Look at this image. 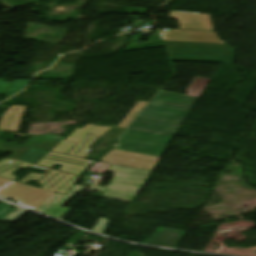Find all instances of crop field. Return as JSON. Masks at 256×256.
Instances as JSON below:
<instances>
[{
  "instance_id": "crop-field-1",
  "label": "crop field",
  "mask_w": 256,
  "mask_h": 256,
  "mask_svg": "<svg viewBox=\"0 0 256 256\" xmlns=\"http://www.w3.org/2000/svg\"><path fill=\"white\" fill-rule=\"evenodd\" d=\"M198 98L160 92L104 161L153 171Z\"/></svg>"
},
{
  "instance_id": "crop-field-2",
  "label": "crop field",
  "mask_w": 256,
  "mask_h": 256,
  "mask_svg": "<svg viewBox=\"0 0 256 256\" xmlns=\"http://www.w3.org/2000/svg\"><path fill=\"white\" fill-rule=\"evenodd\" d=\"M164 43L171 61L225 62L232 64L234 59V50L228 45L170 41H164Z\"/></svg>"
},
{
  "instance_id": "crop-field-3",
  "label": "crop field",
  "mask_w": 256,
  "mask_h": 256,
  "mask_svg": "<svg viewBox=\"0 0 256 256\" xmlns=\"http://www.w3.org/2000/svg\"><path fill=\"white\" fill-rule=\"evenodd\" d=\"M108 172L116 173L107 187H93L105 191L102 198L132 203L141 187L151 174L149 171L137 170L113 165Z\"/></svg>"
},
{
  "instance_id": "crop-field-4",
  "label": "crop field",
  "mask_w": 256,
  "mask_h": 256,
  "mask_svg": "<svg viewBox=\"0 0 256 256\" xmlns=\"http://www.w3.org/2000/svg\"><path fill=\"white\" fill-rule=\"evenodd\" d=\"M31 140H33L31 142ZM22 147L0 142V150L12 153V159L36 163L45 156L62 138L55 135L38 136Z\"/></svg>"
},
{
  "instance_id": "crop-field-5",
  "label": "crop field",
  "mask_w": 256,
  "mask_h": 256,
  "mask_svg": "<svg viewBox=\"0 0 256 256\" xmlns=\"http://www.w3.org/2000/svg\"><path fill=\"white\" fill-rule=\"evenodd\" d=\"M159 31L163 40L223 44L217 38L214 32L182 31V30H175V29H168L167 32L162 30H159Z\"/></svg>"
},
{
  "instance_id": "crop-field-6",
  "label": "crop field",
  "mask_w": 256,
  "mask_h": 256,
  "mask_svg": "<svg viewBox=\"0 0 256 256\" xmlns=\"http://www.w3.org/2000/svg\"><path fill=\"white\" fill-rule=\"evenodd\" d=\"M171 18H176L179 29L213 31L211 17L207 14L171 11Z\"/></svg>"
},
{
  "instance_id": "crop-field-7",
  "label": "crop field",
  "mask_w": 256,
  "mask_h": 256,
  "mask_svg": "<svg viewBox=\"0 0 256 256\" xmlns=\"http://www.w3.org/2000/svg\"><path fill=\"white\" fill-rule=\"evenodd\" d=\"M83 189H85V187L76 185L70 190V192L66 196L55 194L43 205H41L38 209H36V211L58 218L61 215H63L66 211H68V209L65 208H63L64 210H62V207L60 206L67 202L69 199H71L74 195H76V193L82 191Z\"/></svg>"
},
{
  "instance_id": "crop-field-8",
  "label": "crop field",
  "mask_w": 256,
  "mask_h": 256,
  "mask_svg": "<svg viewBox=\"0 0 256 256\" xmlns=\"http://www.w3.org/2000/svg\"><path fill=\"white\" fill-rule=\"evenodd\" d=\"M184 234V231L159 227L146 244L176 248Z\"/></svg>"
},
{
  "instance_id": "crop-field-9",
  "label": "crop field",
  "mask_w": 256,
  "mask_h": 256,
  "mask_svg": "<svg viewBox=\"0 0 256 256\" xmlns=\"http://www.w3.org/2000/svg\"><path fill=\"white\" fill-rule=\"evenodd\" d=\"M26 109V106L11 107L2 115L0 128L17 132Z\"/></svg>"
},
{
  "instance_id": "crop-field-10",
  "label": "crop field",
  "mask_w": 256,
  "mask_h": 256,
  "mask_svg": "<svg viewBox=\"0 0 256 256\" xmlns=\"http://www.w3.org/2000/svg\"><path fill=\"white\" fill-rule=\"evenodd\" d=\"M111 127H99V126H94V125H89L87 124L84 128L80 129L78 128L73 134H71L66 140L73 141L78 143L85 135L87 134H92L96 137H101L104 133H106Z\"/></svg>"
},
{
  "instance_id": "crop-field-11",
  "label": "crop field",
  "mask_w": 256,
  "mask_h": 256,
  "mask_svg": "<svg viewBox=\"0 0 256 256\" xmlns=\"http://www.w3.org/2000/svg\"><path fill=\"white\" fill-rule=\"evenodd\" d=\"M4 81L5 79H0V94L5 93L7 97L21 91L29 82V80L15 81L13 83H7Z\"/></svg>"
},
{
  "instance_id": "crop-field-12",
  "label": "crop field",
  "mask_w": 256,
  "mask_h": 256,
  "mask_svg": "<svg viewBox=\"0 0 256 256\" xmlns=\"http://www.w3.org/2000/svg\"><path fill=\"white\" fill-rule=\"evenodd\" d=\"M209 79L194 77L191 85L188 87L187 92L188 96H194L199 97L207 83L209 82Z\"/></svg>"
},
{
  "instance_id": "crop-field-13",
  "label": "crop field",
  "mask_w": 256,
  "mask_h": 256,
  "mask_svg": "<svg viewBox=\"0 0 256 256\" xmlns=\"http://www.w3.org/2000/svg\"><path fill=\"white\" fill-rule=\"evenodd\" d=\"M147 103L138 101L135 104V107L132 109V111L126 116V118L120 123L118 127L126 128L129 123L137 116V114L141 111V108H143Z\"/></svg>"
},
{
  "instance_id": "crop-field-14",
  "label": "crop field",
  "mask_w": 256,
  "mask_h": 256,
  "mask_svg": "<svg viewBox=\"0 0 256 256\" xmlns=\"http://www.w3.org/2000/svg\"><path fill=\"white\" fill-rule=\"evenodd\" d=\"M101 165L102 167H100ZM108 166H109L108 164L96 162L89 171L96 172L95 170L98 169L96 173L102 174L107 169Z\"/></svg>"
}]
</instances>
